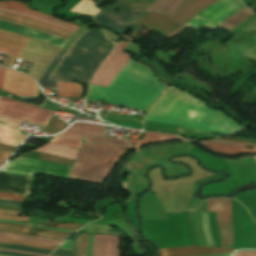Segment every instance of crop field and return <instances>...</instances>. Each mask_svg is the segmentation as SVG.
<instances>
[{
    "label": "crop field",
    "mask_w": 256,
    "mask_h": 256,
    "mask_svg": "<svg viewBox=\"0 0 256 256\" xmlns=\"http://www.w3.org/2000/svg\"><path fill=\"white\" fill-rule=\"evenodd\" d=\"M145 119L182 125L217 134H228L245 127L201 100L169 86L154 102Z\"/></svg>",
    "instance_id": "crop-field-1"
},
{
    "label": "crop field",
    "mask_w": 256,
    "mask_h": 256,
    "mask_svg": "<svg viewBox=\"0 0 256 256\" xmlns=\"http://www.w3.org/2000/svg\"><path fill=\"white\" fill-rule=\"evenodd\" d=\"M165 87L149 68L130 59L108 88L91 85L86 101L122 103L146 111Z\"/></svg>",
    "instance_id": "crop-field-2"
},
{
    "label": "crop field",
    "mask_w": 256,
    "mask_h": 256,
    "mask_svg": "<svg viewBox=\"0 0 256 256\" xmlns=\"http://www.w3.org/2000/svg\"><path fill=\"white\" fill-rule=\"evenodd\" d=\"M105 32L87 29L67 50L50 79L74 80L89 84L92 76L114 49Z\"/></svg>",
    "instance_id": "crop-field-3"
},
{
    "label": "crop field",
    "mask_w": 256,
    "mask_h": 256,
    "mask_svg": "<svg viewBox=\"0 0 256 256\" xmlns=\"http://www.w3.org/2000/svg\"><path fill=\"white\" fill-rule=\"evenodd\" d=\"M127 151L113 146L84 143L70 172V179L103 184L120 158Z\"/></svg>",
    "instance_id": "crop-field-4"
},
{
    "label": "crop field",
    "mask_w": 256,
    "mask_h": 256,
    "mask_svg": "<svg viewBox=\"0 0 256 256\" xmlns=\"http://www.w3.org/2000/svg\"><path fill=\"white\" fill-rule=\"evenodd\" d=\"M52 113L53 111L0 97V115L46 126ZM4 116H0V120L10 123L8 126L0 125V143L17 147L26 138L19 131L21 121Z\"/></svg>",
    "instance_id": "crop-field-5"
},
{
    "label": "crop field",
    "mask_w": 256,
    "mask_h": 256,
    "mask_svg": "<svg viewBox=\"0 0 256 256\" xmlns=\"http://www.w3.org/2000/svg\"><path fill=\"white\" fill-rule=\"evenodd\" d=\"M243 7L244 6L238 0H219L197 14L186 25L196 29L202 24L213 30L224 19Z\"/></svg>",
    "instance_id": "crop-field-6"
},
{
    "label": "crop field",
    "mask_w": 256,
    "mask_h": 256,
    "mask_svg": "<svg viewBox=\"0 0 256 256\" xmlns=\"http://www.w3.org/2000/svg\"><path fill=\"white\" fill-rule=\"evenodd\" d=\"M127 43L122 42L117 45L111 56L98 69L91 84L108 87L113 77L123 68L127 61L132 57L121 52Z\"/></svg>",
    "instance_id": "crop-field-7"
},
{
    "label": "crop field",
    "mask_w": 256,
    "mask_h": 256,
    "mask_svg": "<svg viewBox=\"0 0 256 256\" xmlns=\"http://www.w3.org/2000/svg\"><path fill=\"white\" fill-rule=\"evenodd\" d=\"M106 126L90 125L83 123H74L66 132H72L79 135H85L84 140L87 142L106 143L127 149H133L124 139H114L106 137L103 133Z\"/></svg>",
    "instance_id": "crop-field-8"
},
{
    "label": "crop field",
    "mask_w": 256,
    "mask_h": 256,
    "mask_svg": "<svg viewBox=\"0 0 256 256\" xmlns=\"http://www.w3.org/2000/svg\"><path fill=\"white\" fill-rule=\"evenodd\" d=\"M27 76L6 68L2 90L21 97L37 96L38 86L33 79Z\"/></svg>",
    "instance_id": "crop-field-9"
},
{
    "label": "crop field",
    "mask_w": 256,
    "mask_h": 256,
    "mask_svg": "<svg viewBox=\"0 0 256 256\" xmlns=\"http://www.w3.org/2000/svg\"><path fill=\"white\" fill-rule=\"evenodd\" d=\"M147 14H148L147 12H137V13L111 12V13L98 15L97 17H95L94 20L122 35L129 26L138 22Z\"/></svg>",
    "instance_id": "crop-field-10"
},
{
    "label": "crop field",
    "mask_w": 256,
    "mask_h": 256,
    "mask_svg": "<svg viewBox=\"0 0 256 256\" xmlns=\"http://www.w3.org/2000/svg\"><path fill=\"white\" fill-rule=\"evenodd\" d=\"M28 40L29 37L0 30V51L8 55L4 66L12 68Z\"/></svg>",
    "instance_id": "crop-field-11"
},
{
    "label": "crop field",
    "mask_w": 256,
    "mask_h": 256,
    "mask_svg": "<svg viewBox=\"0 0 256 256\" xmlns=\"http://www.w3.org/2000/svg\"><path fill=\"white\" fill-rule=\"evenodd\" d=\"M232 201L222 199L224 213H216V223L222 248L232 249L233 224H232Z\"/></svg>",
    "instance_id": "crop-field-12"
},
{
    "label": "crop field",
    "mask_w": 256,
    "mask_h": 256,
    "mask_svg": "<svg viewBox=\"0 0 256 256\" xmlns=\"http://www.w3.org/2000/svg\"><path fill=\"white\" fill-rule=\"evenodd\" d=\"M136 24L162 37L182 25L158 13H150Z\"/></svg>",
    "instance_id": "crop-field-13"
},
{
    "label": "crop field",
    "mask_w": 256,
    "mask_h": 256,
    "mask_svg": "<svg viewBox=\"0 0 256 256\" xmlns=\"http://www.w3.org/2000/svg\"><path fill=\"white\" fill-rule=\"evenodd\" d=\"M0 19L15 23V24H18L21 26L37 29V30L58 36L60 38L66 39V40H68V38L71 36V33L66 32L64 30H61V29H58L55 27H51V26H48V25L30 20V19L24 18V17L8 14V13H4V12H0Z\"/></svg>",
    "instance_id": "crop-field-14"
},
{
    "label": "crop field",
    "mask_w": 256,
    "mask_h": 256,
    "mask_svg": "<svg viewBox=\"0 0 256 256\" xmlns=\"http://www.w3.org/2000/svg\"><path fill=\"white\" fill-rule=\"evenodd\" d=\"M215 1L217 0H189L176 11L171 13L168 17L185 25L198 12Z\"/></svg>",
    "instance_id": "crop-field-15"
},
{
    "label": "crop field",
    "mask_w": 256,
    "mask_h": 256,
    "mask_svg": "<svg viewBox=\"0 0 256 256\" xmlns=\"http://www.w3.org/2000/svg\"><path fill=\"white\" fill-rule=\"evenodd\" d=\"M157 251L160 256H197V255L229 252L233 250L190 246V247H180V248H171V249H161Z\"/></svg>",
    "instance_id": "crop-field-16"
},
{
    "label": "crop field",
    "mask_w": 256,
    "mask_h": 256,
    "mask_svg": "<svg viewBox=\"0 0 256 256\" xmlns=\"http://www.w3.org/2000/svg\"><path fill=\"white\" fill-rule=\"evenodd\" d=\"M201 144L211 151L218 152L224 155H230V156H237V155H242L247 153H256V149H249V148L235 146V145L220 144V143H213V142H205Z\"/></svg>",
    "instance_id": "crop-field-17"
},
{
    "label": "crop field",
    "mask_w": 256,
    "mask_h": 256,
    "mask_svg": "<svg viewBox=\"0 0 256 256\" xmlns=\"http://www.w3.org/2000/svg\"><path fill=\"white\" fill-rule=\"evenodd\" d=\"M188 0H157L145 11L159 12L163 15H168Z\"/></svg>",
    "instance_id": "crop-field-18"
},
{
    "label": "crop field",
    "mask_w": 256,
    "mask_h": 256,
    "mask_svg": "<svg viewBox=\"0 0 256 256\" xmlns=\"http://www.w3.org/2000/svg\"><path fill=\"white\" fill-rule=\"evenodd\" d=\"M253 14L255 13H253L245 7L240 11L236 12L235 14H233L232 16H230L229 18H227L226 20H224L218 27L231 31Z\"/></svg>",
    "instance_id": "crop-field-19"
},
{
    "label": "crop field",
    "mask_w": 256,
    "mask_h": 256,
    "mask_svg": "<svg viewBox=\"0 0 256 256\" xmlns=\"http://www.w3.org/2000/svg\"><path fill=\"white\" fill-rule=\"evenodd\" d=\"M0 6L11 8V9L22 11V12H26V13H30V14H34V15H38V16H41V17H45V18L51 19L55 22L67 25V26L72 27V28H76V29L79 28V26L74 25L72 23L62 21V20H59V19H55V18H52V17H50L46 14H42V13H39V12H36V11L29 10L25 4L20 3V2H15V1L0 2Z\"/></svg>",
    "instance_id": "crop-field-20"
},
{
    "label": "crop field",
    "mask_w": 256,
    "mask_h": 256,
    "mask_svg": "<svg viewBox=\"0 0 256 256\" xmlns=\"http://www.w3.org/2000/svg\"><path fill=\"white\" fill-rule=\"evenodd\" d=\"M34 151L57 155V156H61V157H65V158H69V159H73V160L76 159V155L78 152L76 150L60 147V146L53 145L50 143H48L45 146H43L37 150H34Z\"/></svg>",
    "instance_id": "crop-field-21"
},
{
    "label": "crop field",
    "mask_w": 256,
    "mask_h": 256,
    "mask_svg": "<svg viewBox=\"0 0 256 256\" xmlns=\"http://www.w3.org/2000/svg\"><path fill=\"white\" fill-rule=\"evenodd\" d=\"M171 140H185V139L175 137V136H170V135L146 132L143 140L130 139V142L132 144L137 145L135 148L138 150L139 146L143 144L153 143L157 141L166 142Z\"/></svg>",
    "instance_id": "crop-field-22"
},
{
    "label": "crop field",
    "mask_w": 256,
    "mask_h": 256,
    "mask_svg": "<svg viewBox=\"0 0 256 256\" xmlns=\"http://www.w3.org/2000/svg\"><path fill=\"white\" fill-rule=\"evenodd\" d=\"M66 52V50H63L61 52H59L54 59L52 60V62L49 64V66L47 67L43 77L38 80L37 82L41 85V87L44 88H55L56 89V81H52V80H48L49 76L51 75L52 71L54 70V68L57 66V64L60 62V60L62 59L61 57L63 56V54Z\"/></svg>",
    "instance_id": "crop-field-23"
},
{
    "label": "crop field",
    "mask_w": 256,
    "mask_h": 256,
    "mask_svg": "<svg viewBox=\"0 0 256 256\" xmlns=\"http://www.w3.org/2000/svg\"><path fill=\"white\" fill-rule=\"evenodd\" d=\"M78 84V83H77ZM75 83L57 81V95L76 97L81 96L82 87Z\"/></svg>",
    "instance_id": "crop-field-24"
},
{
    "label": "crop field",
    "mask_w": 256,
    "mask_h": 256,
    "mask_svg": "<svg viewBox=\"0 0 256 256\" xmlns=\"http://www.w3.org/2000/svg\"><path fill=\"white\" fill-rule=\"evenodd\" d=\"M69 12L93 17L99 12V10L90 0H82Z\"/></svg>",
    "instance_id": "crop-field-25"
},
{
    "label": "crop field",
    "mask_w": 256,
    "mask_h": 256,
    "mask_svg": "<svg viewBox=\"0 0 256 256\" xmlns=\"http://www.w3.org/2000/svg\"><path fill=\"white\" fill-rule=\"evenodd\" d=\"M0 10L1 11H4V12H8V13H12V14H16V15H20V16H24V17H27V18H30V19H33V20H36V21H39V22H42V23H45V24H48V25H52V26H55V27H58V28H61V29H64L66 31H69L71 33L75 32L76 30L74 29H71L69 27H65L61 24H58V23H55V22H52V21H49V20H46L44 18H41V17H37V16H33V15H29V14H26V13H22V12H18V11H14V10H10V9H6V8H2L0 7Z\"/></svg>",
    "instance_id": "crop-field-26"
},
{
    "label": "crop field",
    "mask_w": 256,
    "mask_h": 256,
    "mask_svg": "<svg viewBox=\"0 0 256 256\" xmlns=\"http://www.w3.org/2000/svg\"><path fill=\"white\" fill-rule=\"evenodd\" d=\"M24 156L41 159V160H45V161H50V162H55V163H60V164H64V165H69V166H71L73 163V160L50 156V155H46V154H42V153H38V152H34V151H31Z\"/></svg>",
    "instance_id": "crop-field-27"
},
{
    "label": "crop field",
    "mask_w": 256,
    "mask_h": 256,
    "mask_svg": "<svg viewBox=\"0 0 256 256\" xmlns=\"http://www.w3.org/2000/svg\"><path fill=\"white\" fill-rule=\"evenodd\" d=\"M0 229L19 231V232H25V233L36 234V235H41V236H48V237H57V238H63V239L68 237L66 235H60V234H55V233H51V232L35 231V230H30L28 228H22V227H12V226L0 225Z\"/></svg>",
    "instance_id": "crop-field-28"
},
{
    "label": "crop field",
    "mask_w": 256,
    "mask_h": 256,
    "mask_svg": "<svg viewBox=\"0 0 256 256\" xmlns=\"http://www.w3.org/2000/svg\"><path fill=\"white\" fill-rule=\"evenodd\" d=\"M0 236L14 238V239L35 241V242L44 243V244H48V245H54V246H58L60 244L59 241H53V240H47V239H41V238H35V237H29V236H23V235L0 233Z\"/></svg>",
    "instance_id": "crop-field-29"
},
{
    "label": "crop field",
    "mask_w": 256,
    "mask_h": 256,
    "mask_svg": "<svg viewBox=\"0 0 256 256\" xmlns=\"http://www.w3.org/2000/svg\"><path fill=\"white\" fill-rule=\"evenodd\" d=\"M68 125H66L64 122L51 118L47 126L42 130L43 132L55 134L59 132L60 130L66 128Z\"/></svg>",
    "instance_id": "crop-field-30"
},
{
    "label": "crop field",
    "mask_w": 256,
    "mask_h": 256,
    "mask_svg": "<svg viewBox=\"0 0 256 256\" xmlns=\"http://www.w3.org/2000/svg\"><path fill=\"white\" fill-rule=\"evenodd\" d=\"M213 141H219V142H225V143H231V144H238V145L256 147V140H250V139L219 138V139H215Z\"/></svg>",
    "instance_id": "crop-field-31"
},
{
    "label": "crop field",
    "mask_w": 256,
    "mask_h": 256,
    "mask_svg": "<svg viewBox=\"0 0 256 256\" xmlns=\"http://www.w3.org/2000/svg\"><path fill=\"white\" fill-rule=\"evenodd\" d=\"M20 212L0 209V218L27 222L28 216H18Z\"/></svg>",
    "instance_id": "crop-field-32"
},
{
    "label": "crop field",
    "mask_w": 256,
    "mask_h": 256,
    "mask_svg": "<svg viewBox=\"0 0 256 256\" xmlns=\"http://www.w3.org/2000/svg\"><path fill=\"white\" fill-rule=\"evenodd\" d=\"M0 247L32 251V252H39V253H45V254H49L50 252H52L51 250H45V249H39V248H33V247L9 244V243H1V242H0Z\"/></svg>",
    "instance_id": "crop-field-33"
},
{
    "label": "crop field",
    "mask_w": 256,
    "mask_h": 256,
    "mask_svg": "<svg viewBox=\"0 0 256 256\" xmlns=\"http://www.w3.org/2000/svg\"><path fill=\"white\" fill-rule=\"evenodd\" d=\"M208 217H209V226H210V232L212 235L213 242L216 247L221 248L217 230H216L215 213L208 212Z\"/></svg>",
    "instance_id": "crop-field-34"
},
{
    "label": "crop field",
    "mask_w": 256,
    "mask_h": 256,
    "mask_svg": "<svg viewBox=\"0 0 256 256\" xmlns=\"http://www.w3.org/2000/svg\"><path fill=\"white\" fill-rule=\"evenodd\" d=\"M79 237H80V235H77V233H75V238H74V243H73V251L56 249L51 254L58 255V256H76L77 249H78V243H79Z\"/></svg>",
    "instance_id": "crop-field-35"
},
{
    "label": "crop field",
    "mask_w": 256,
    "mask_h": 256,
    "mask_svg": "<svg viewBox=\"0 0 256 256\" xmlns=\"http://www.w3.org/2000/svg\"><path fill=\"white\" fill-rule=\"evenodd\" d=\"M0 241L1 242L22 244V245H28V246H34V247H39V248L51 249V250H54L56 248L54 246H48V245H43V244H38V243H33V242H27V241H21V240H14V239L0 238Z\"/></svg>",
    "instance_id": "crop-field-36"
},
{
    "label": "crop field",
    "mask_w": 256,
    "mask_h": 256,
    "mask_svg": "<svg viewBox=\"0 0 256 256\" xmlns=\"http://www.w3.org/2000/svg\"><path fill=\"white\" fill-rule=\"evenodd\" d=\"M50 143L65 145V146H69V147H73V148H77V149H79L81 146L80 141L63 139V138H58V137H55Z\"/></svg>",
    "instance_id": "crop-field-37"
},
{
    "label": "crop field",
    "mask_w": 256,
    "mask_h": 256,
    "mask_svg": "<svg viewBox=\"0 0 256 256\" xmlns=\"http://www.w3.org/2000/svg\"><path fill=\"white\" fill-rule=\"evenodd\" d=\"M88 238H89L88 234L81 233L79 249H78V256H86L87 255Z\"/></svg>",
    "instance_id": "crop-field-38"
},
{
    "label": "crop field",
    "mask_w": 256,
    "mask_h": 256,
    "mask_svg": "<svg viewBox=\"0 0 256 256\" xmlns=\"http://www.w3.org/2000/svg\"><path fill=\"white\" fill-rule=\"evenodd\" d=\"M40 225H45V226H53V227H61V228H66V229H72V230H77L81 228L84 225H79V224H63V223H56V222H45Z\"/></svg>",
    "instance_id": "crop-field-39"
},
{
    "label": "crop field",
    "mask_w": 256,
    "mask_h": 256,
    "mask_svg": "<svg viewBox=\"0 0 256 256\" xmlns=\"http://www.w3.org/2000/svg\"><path fill=\"white\" fill-rule=\"evenodd\" d=\"M208 211L223 212L221 199L208 200Z\"/></svg>",
    "instance_id": "crop-field-40"
},
{
    "label": "crop field",
    "mask_w": 256,
    "mask_h": 256,
    "mask_svg": "<svg viewBox=\"0 0 256 256\" xmlns=\"http://www.w3.org/2000/svg\"><path fill=\"white\" fill-rule=\"evenodd\" d=\"M24 198L25 196H22V195L0 193V199H3V200L23 202Z\"/></svg>",
    "instance_id": "crop-field-41"
},
{
    "label": "crop field",
    "mask_w": 256,
    "mask_h": 256,
    "mask_svg": "<svg viewBox=\"0 0 256 256\" xmlns=\"http://www.w3.org/2000/svg\"><path fill=\"white\" fill-rule=\"evenodd\" d=\"M11 154V151L0 149V160L5 161Z\"/></svg>",
    "instance_id": "crop-field-42"
},
{
    "label": "crop field",
    "mask_w": 256,
    "mask_h": 256,
    "mask_svg": "<svg viewBox=\"0 0 256 256\" xmlns=\"http://www.w3.org/2000/svg\"><path fill=\"white\" fill-rule=\"evenodd\" d=\"M0 224H9V225H17V226L35 228V227H31V226H25V225H19V224H12V223H5V222H0ZM35 229H40V228H35ZM43 230H48V229H43ZM49 231L58 232V233H62V234H67V235H70V234H71V233H66V232L56 231V230H49Z\"/></svg>",
    "instance_id": "crop-field-43"
},
{
    "label": "crop field",
    "mask_w": 256,
    "mask_h": 256,
    "mask_svg": "<svg viewBox=\"0 0 256 256\" xmlns=\"http://www.w3.org/2000/svg\"><path fill=\"white\" fill-rule=\"evenodd\" d=\"M73 241L66 240L59 248L72 250Z\"/></svg>",
    "instance_id": "crop-field-44"
},
{
    "label": "crop field",
    "mask_w": 256,
    "mask_h": 256,
    "mask_svg": "<svg viewBox=\"0 0 256 256\" xmlns=\"http://www.w3.org/2000/svg\"><path fill=\"white\" fill-rule=\"evenodd\" d=\"M0 221H6V222H12V223H20V224H28V225H32V226H38V225L29 224V223L14 222V221L2 220V219H0ZM38 227H43V226H38ZM44 228H50V227H44ZM50 229H57V228H50ZM57 230H63V231L74 232V231L65 230V229H57Z\"/></svg>",
    "instance_id": "crop-field-45"
},
{
    "label": "crop field",
    "mask_w": 256,
    "mask_h": 256,
    "mask_svg": "<svg viewBox=\"0 0 256 256\" xmlns=\"http://www.w3.org/2000/svg\"><path fill=\"white\" fill-rule=\"evenodd\" d=\"M0 232L16 233V234L29 235V234H25V233L11 232V231H4V230H0ZM29 236H35V235H29ZM35 237H41V236H35ZM41 238H47V239H53V240H59V241H62V239H56V238H48V237H41Z\"/></svg>",
    "instance_id": "crop-field-46"
},
{
    "label": "crop field",
    "mask_w": 256,
    "mask_h": 256,
    "mask_svg": "<svg viewBox=\"0 0 256 256\" xmlns=\"http://www.w3.org/2000/svg\"><path fill=\"white\" fill-rule=\"evenodd\" d=\"M1 250H7V251H14V252H20V253H26V254H32V255H38V256H47L45 254H37V253H30V252H23V251H15V250H9L5 248H0Z\"/></svg>",
    "instance_id": "crop-field-47"
},
{
    "label": "crop field",
    "mask_w": 256,
    "mask_h": 256,
    "mask_svg": "<svg viewBox=\"0 0 256 256\" xmlns=\"http://www.w3.org/2000/svg\"><path fill=\"white\" fill-rule=\"evenodd\" d=\"M0 208L10 209V210H18V211H21V209H22V208H19V207H13V206H7V205H0Z\"/></svg>",
    "instance_id": "crop-field-48"
},
{
    "label": "crop field",
    "mask_w": 256,
    "mask_h": 256,
    "mask_svg": "<svg viewBox=\"0 0 256 256\" xmlns=\"http://www.w3.org/2000/svg\"><path fill=\"white\" fill-rule=\"evenodd\" d=\"M4 67L0 66V90L2 88V82H3V77H4Z\"/></svg>",
    "instance_id": "crop-field-49"
},
{
    "label": "crop field",
    "mask_w": 256,
    "mask_h": 256,
    "mask_svg": "<svg viewBox=\"0 0 256 256\" xmlns=\"http://www.w3.org/2000/svg\"><path fill=\"white\" fill-rule=\"evenodd\" d=\"M0 253L10 254V255H17V256H31V255H25V254H19V253H13V252L1 251V250H0Z\"/></svg>",
    "instance_id": "crop-field-50"
},
{
    "label": "crop field",
    "mask_w": 256,
    "mask_h": 256,
    "mask_svg": "<svg viewBox=\"0 0 256 256\" xmlns=\"http://www.w3.org/2000/svg\"><path fill=\"white\" fill-rule=\"evenodd\" d=\"M92 240H93V235H90L89 247H88V256H91Z\"/></svg>",
    "instance_id": "crop-field-51"
},
{
    "label": "crop field",
    "mask_w": 256,
    "mask_h": 256,
    "mask_svg": "<svg viewBox=\"0 0 256 256\" xmlns=\"http://www.w3.org/2000/svg\"><path fill=\"white\" fill-rule=\"evenodd\" d=\"M0 204L21 206V204H19V203H13V202H9V201H1V200H0Z\"/></svg>",
    "instance_id": "crop-field-52"
},
{
    "label": "crop field",
    "mask_w": 256,
    "mask_h": 256,
    "mask_svg": "<svg viewBox=\"0 0 256 256\" xmlns=\"http://www.w3.org/2000/svg\"><path fill=\"white\" fill-rule=\"evenodd\" d=\"M0 148L11 150V151H14V149H15L14 147L5 146V145H1V144H0Z\"/></svg>",
    "instance_id": "crop-field-53"
},
{
    "label": "crop field",
    "mask_w": 256,
    "mask_h": 256,
    "mask_svg": "<svg viewBox=\"0 0 256 256\" xmlns=\"http://www.w3.org/2000/svg\"><path fill=\"white\" fill-rule=\"evenodd\" d=\"M3 163H4L3 161H0V166H2V165H3Z\"/></svg>",
    "instance_id": "crop-field-54"
},
{
    "label": "crop field",
    "mask_w": 256,
    "mask_h": 256,
    "mask_svg": "<svg viewBox=\"0 0 256 256\" xmlns=\"http://www.w3.org/2000/svg\"><path fill=\"white\" fill-rule=\"evenodd\" d=\"M0 255H3V254H0ZM5 256H10V255H5Z\"/></svg>",
    "instance_id": "crop-field-55"
},
{
    "label": "crop field",
    "mask_w": 256,
    "mask_h": 256,
    "mask_svg": "<svg viewBox=\"0 0 256 256\" xmlns=\"http://www.w3.org/2000/svg\"><path fill=\"white\" fill-rule=\"evenodd\" d=\"M67 1V3L70 1V0H66Z\"/></svg>",
    "instance_id": "crop-field-56"
},
{
    "label": "crop field",
    "mask_w": 256,
    "mask_h": 256,
    "mask_svg": "<svg viewBox=\"0 0 256 256\" xmlns=\"http://www.w3.org/2000/svg\"><path fill=\"white\" fill-rule=\"evenodd\" d=\"M49 256H52V255H49Z\"/></svg>",
    "instance_id": "crop-field-57"
}]
</instances>
